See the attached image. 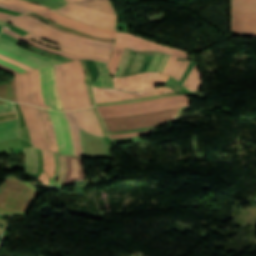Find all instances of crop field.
<instances>
[{"label":"crop field","instance_id":"4a817a6b","mask_svg":"<svg viewBox=\"0 0 256 256\" xmlns=\"http://www.w3.org/2000/svg\"><path fill=\"white\" fill-rule=\"evenodd\" d=\"M67 157V173L64 184H72L74 180H84L81 157Z\"/></svg>","mask_w":256,"mask_h":256},{"label":"crop field","instance_id":"425ffa30","mask_svg":"<svg viewBox=\"0 0 256 256\" xmlns=\"http://www.w3.org/2000/svg\"><path fill=\"white\" fill-rule=\"evenodd\" d=\"M188 64H189L188 61L183 62L182 67H181L180 71L178 72V74L176 75L175 79L179 80L181 78V76L183 75Z\"/></svg>","mask_w":256,"mask_h":256},{"label":"crop field","instance_id":"cbeb9de0","mask_svg":"<svg viewBox=\"0 0 256 256\" xmlns=\"http://www.w3.org/2000/svg\"><path fill=\"white\" fill-rule=\"evenodd\" d=\"M35 13L45 16L59 24L65 25L67 27H70V28H73V29H76V30H79L82 32L99 35V36L115 38V29L95 28V27L77 22L70 18L64 17L62 15H59L53 11L35 12Z\"/></svg>","mask_w":256,"mask_h":256},{"label":"crop field","instance_id":"4177f3b9","mask_svg":"<svg viewBox=\"0 0 256 256\" xmlns=\"http://www.w3.org/2000/svg\"><path fill=\"white\" fill-rule=\"evenodd\" d=\"M26 37H29L39 43H42V44H45V45H48V46H51V47H54V48H57V49H61V50H64V51H67V52H70V53H74V54H78V55H85V56H92V57H99V58H106L108 59L109 58V55H106V54H97V53H89V52H83V51H77V50H72V49H69V48H66V47H63V46H59V45H56V44H53V43H49V42H46L44 40H41L39 38H37L36 36L32 35V34H27V35H24Z\"/></svg>","mask_w":256,"mask_h":256},{"label":"crop field","instance_id":"214f88e0","mask_svg":"<svg viewBox=\"0 0 256 256\" xmlns=\"http://www.w3.org/2000/svg\"><path fill=\"white\" fill-rule=\"evenodd\" d=\"M39 111L41 113V116H42V119H43V122H44L45 130H46V134H47V138H48V142H49L50 151L58 153L55 134H54L52 122H51L50 116L48 114V111L45 110V109H41V108H39Z\"/></svg>","mask_w":256,"mask_h":256},{"label":"crop field","instance_id":"d8731c3e","mask_svg":"<svg viewBox=\"0 0 256 256\" xmlns=\"http://www.w3.org/2000/svg\"><path fill=\"white\" fill-rule=\"evenodd\" d=\"M65 86L72 109L90 106L84 83V70L79 60L63 63Z\"/></svg>","mask_w":256,"mask_h":256},{"label":"crop field","instance_id":"730fd06b","mask_svg":"<svg viewBox=\"0 0 256 256\" xmlns=\"http://www.w3.org/2000/svg\"><path fill=\"white\" fill-rule=\"evenodd\" d=\"M0 2L13 5L29 11H48L51 10L45 6L36 5L23 0H0Z\"/></svg>","mask_w":256,"mask_h":256},{"label":"crop field","instance_id":"5d738f31","mask_svg":"<svg viewBox=\"0 0 256 256\" xmlns=\"http://www.w3.org/2000/svg\"><path fill=\"white\" fill-rule=\"evenodd\" d=\"M0 64H3V65H5V66H7V67H9V68H12V69H14V70H16V71H18V72H20V73H22V72L25 71V70H23V69H21V68L15 66V65H13V64H10V63L5 62V61H2V60H0Z\"/></svg>","mask_w":256,"mask_h":256},{"label":"crop field","instance_id":"89e229c0","mask_svg":"<svg viewBox=\"0 0 256 256\" xmlns=\"http://www.w3.org/2000/svg\"><path fill=\"white\" fill-rule=\"evenodd\" d=\"M11 85H12V101L17 102L16 100V84L14 78L11 79Z\"/></svg>","mask_w":256,"mask_h":256},{"label":"crop field","instance_id":"0fb4a251","mask_svg":"<svg viewBox=\"0 0 256 256\" xmlns=\"http://www.w3.org/2000/svg\"><path fill=\"white\" fill-rule=\"evenodd\" d=\"M11 16H14V15H10V14H6V13H1L0 12V19L2 20H6L8 17H11Z\"/></svg>","mask_w":256,"mask_h":256},{"label":"crop field","instance_id":"25e5ab78","mask_svg":"<svg viewBox=\"0 0 256 256\" xmlns=\"http://www.w3.org/2000/svg\"><path fill=\"white\" fill-rule=\"evenodd\" d=\"M182 62H183V60H180V59H177V62H176V64L174 65V68H173V70L171 71V73H170V75L171 76H175V74L177 73V71L179 70V68H180V66H181V64H182Z\"/></svg>","mask_w":256,"mask_h":256},{"label":"crop field","instance_id":"bd1437ed","mask_svg":"<svg viewBox=\"0 0 256 256\" xmlns=\"http://www.w3.org/2000/svg\"><path fill=\"white\" fill-rule=\"evenodd\" d=\"M173 55L187 58V55H186L185 52H182V51H179V50H176V49L174 50ZM175 56H171V58H170L168 64L166 65L163 73H165V74L170 73V71H171V69H172V67H173V65H174V63L176 62V59H177V57H175Z\"/></svg>","mask_w":256,"mask_h":256},{"label":"crop field","instance_id":"1d83c4d3","mask_svg":"<svg viewBox=\"0 0 256 256\" xmlns=\"http://www.w3.org/2000/svg\"><path fill=\"white\" fill-rule=\"evenodd\" d=\"M58 157H59V163H60V174H59L57 184L62 185L64 176L66 173V158L65 156H62V155H58Z\"/></svg>","mask_w":256,"mask_h":256},{"label":"crop field","instance_id":"34b2d1b8","mask_svg":"<svg viewBox=\"0 0 256 256\" xmlns=\"http://www.w3.org/2000/svg\"><path fill=\"white\" fill-rule=\"evenodd\" d=\"M155 72L140 73L128 77H114L115 89L99 88L93 86L94 95L96 103L107 102V101H117V100H126L132 98H139L163 93L174 92L173 89L162 87L155 89V82L157 78ZM116 88L128 90V91H137L139 92L128 93L124 91L116 90Z\"/></svg>","mask_w":256,"mask_h":256},{"label":"crop field","instance_id":"a9b5d70f","mask_svg":"<svg viewBox=\"0 0 256 256\" xmlns=\"http://www.w3.org/2000/svg\"><path fill=\"white\" fill-rule=\"evenodd\" d=\"M26 160L25 171L36 173L38 170V156L36 148L29 147L23 148Z\"/></svg>","mask_w":256,"mask_h":256},{"label":"crop field","instance_id":"1d79db26","mask_svg":"<svg viewBox=\"0 0 256 256\" xmlns=\"http://www.w3.org/2000/svg\"><path fill=\"white\" fill-rule=\"evenodd\" d=\"M0 67L6 69V70H8V71H10V72H12V73H14V74H16V75L19 74V73L15 72V71H13V70H11V69H9V68L3 66V65H0Z\"/></svg>","mask_w":256,"mask_h":256},{"label":"crop field","instance_id":"e1f06a70","mask_svg":"<svg viewBox=\"0 0 256 256\" xmlns=\"http://www.w3.org/2000/svg\"><path fill=\"white\" fill-rule=\"evenodd\" d=\"M149 133V130L146 131H140V132H135V133H124V134H118V135H110L111 138H116V137H129V136H135V135H146Z\"/></svg>","mask_w":256,"mask_h":256},{"label":"crop field","instance_id":"eef30255","mask_svg":"<svg viewBox=\"0 0 256 256\" xmlns=\"http://www.w3.org/2000/svg\"><path fill=\"white\" fill-rule=\"evenodd\" d=\"M183 85L185 88L193 92H195L201 86V81L196 64L194 65L192 71L186 78Z\"/></svg>","mask_w":256,"mask_h":256},{"label":"crop field","instance_id":"120bbe31","mask_svg":"<svg viewBox=\"0 0 256 256\" xmlns=\"http://www.w3.org/2000/svg\"><path fill=\"white\" fill-rule=\"evenodd\" d=\"M172 95H178V94H164V95L151 96V97L142 98V99H134V100H128V101H119V102H109V103H100V104H96V105L101 106V105H111V104H119V103H126V102H136V101H143V100H147V99L159 98V97H164V96H172Z\"/></svg>","mask_w":256,"mask_h":256},{"label":"crop field","instance_id":"dafd665d","mask_svg":"<svg viewBox=\"0 0 256 256\" xmlns=\"http://www.w3.org/2000/svg\"><path fill=\"white\" fill-rule=\"evenodd\" d=\"M65 114L69 120V124L72 131L74 149H75V156H83L82 149H81V141H80V133L78 125L74 119L72 111H65Z\"/></svg>","mask_w":256,"mask_h":256},{"label":"crop field","instance_id":"ac0d7876","mask_svg":"<svg viewBox=\"0 0 256 256\" xmlns=\"http://www.w3.org/2000/svg\"><path fill=\"white\" fill-rule=\"evenodd\" d=\"M7 22L38 37L78 50L110 54L113 45V43H105L67 34L40 20H36L25 15L8 19Z\"/></svg>","mask_w":256,"mask_h":256},{"label":"crop field","instance_id":"9d1cf04e","mask_svg":"<svg viewBox=\"0 0 256 256\" xmlns=\"http://www.w3.org/2000/svg\"><path fill=\"white\" fill-rule=\"evenodd\" d=\"M3 21L0 20V24L2 25Z\"/></svg>","mask_w":256,"mask_h":256},{"label":"crop field","instance_id":"8a807250","mask_svg":"<svg viewBox=\"0 0 256 256\" xmlns=\"http://www.w3.org/2000/svg\"><path fill=\"white\" fill-rule=\"evenodd\" d=\"M15 79L18 102L63 110L55 85L53 65L19 74Z\"/></svg>","mask_w":256,"mask_h":256},{"label":"crop field","instance_id":"028f5c9d","mask_svg":"<svg viewBox=\"0 0 256 256\" xmlns=\"http://www.w3.org/2000/svg\"><path fill=\"white\" fill-rule=\"evenodd\" d=\"M102 87H113L112 78L109 73L101 75Z\"/></svg>","mask_w":256,"mask_h":256},{"label":"crop field","instance_id":"dd49c442","mask_svg":"<svg viewBox=\"0 0 256 256\" xmlns=\"http://www.w3.org/2000/svg\"><path fill=\"white\" fill-rule=\"evenodd\" d=\"M181 109L182 107H178L169 110H160L147 114L119 116L106 118L103 120L106 124L107 131L130 130L168 123L170 120L179 118Z\"/></svg>","mask_w":256,"mask_h":256},{"label":"crop field","instance_id":"750c4746","mask_svg":"<svg viewBox=\"0 0 256 256\" xmlns=\"http://www.w3.org/2000/svg\"><path fill=\"white\" fill-rule=\"evenodd\" d=\"M34 3L42 4L48 6L52 9L59 8L65 5V0H27Z\"/></svg>","mask_w":256,"mask_h":256},{"label":"crop field","instance_id":"c035e120","mask_svg":"<svg viewBox=\"0 0 256 256\" xmlns=\"http://www.w3.org/2000/svg\"><path fill=\"white\" fill-rule=\"evenodd\" d=\"M128 50L127 48L124 49V52L122 54V57H121V60H120V63H119V66L117 68V71H116V76H119L121 70H122V67L124 65V62H125V59H126V56H127V53H128Z\"/></svg>","mask_w":256,"mask_h":256},{"label":"crop field","instance_id":"03da06ac","mask_svg":"<svg viewBox=\"0 0 256 256\" xmlns=\"http://www.w3.org/2000/svg\"><path fill=\"white\" fill-rule=\"evenodd\" d=\"M17 118L16 111L10 112V113H5V114H0V121L6 120V119H13Z\"/></svg>","mask_w":256,"mask_h":256},{"label":"crop field","instance_id":"733c2abd","mask_svg":"<svg viewBox=\"0 0 256 256\" xmlns=\"http://www.w3.org/2000/svg\"><path fill=\"white\" fill-rule=\"evenodd\" d=\"M3 31L18 38L19 40L31 45V46H34L36 48H39V49H42V50H45V51H48V52H51V53H54V54H58V55H62V56H65L67 58H70L72 60H77V59H91V60H101V61H105V62H108V60H105V59H99V58H92V57H84V56H77V55H73V54H70V53H67V52H64V51H60V50H57V49H52V48H48L42 44H39L35 41H32L26 37H23V36H20L6 28L3 27Z\"/></svg>","mask_w":256,"mask_h":256},{"label":"crop field","instance_id":"d9b57169","mask_svg":"<svg viewBox=\"0 0 256 256\" xmlns=\"http://www.w3.org/2000/svg\"><path fill=\"white\" fill-rule=\"evenodd\" d=\"M73 112L81 129L98 136H104L91 107Z\"/></svg>","mask_w":256,"mask_h":256},{"label":"crop field","instance_id":"1f2cbd36","mask_svg":"<svg viewBox=\"0 0 256 256\" xmlns=\"http://www.w3.org/2000/svg\"><path fill=\"white\" fill-rule=\"evenodd\" d=\"M93 109H94V111H95V113H96V115H97L99 124H100V126H101V128H102V131H103L104 135H105V136H108L107 133H106V130H105V127H104V124H103V121H102L101 117L99 116V114H98L96 108L93 107Z\"/></svg>","mask_w":256,"mask_h":256},{"label":"crop field","instance_id":"b54c1fbb","mask_svg":"<svg viewBox=\"0 0 256 256\" xmlns=\"http://www.w3.org/2000/svg\"><path fill=\"white\" fill-rule=\"evenodd\" d=\"M49 180H50L49 175H47L45 172H42L40 178L37 181L41 182L43 185L46 186Z\"/></svg>","mask_w":256,"mask_h":256},{"label":"crop field","instance_id":"bc2a9ffb","mask_svg":"<svg viewBox=\"0 0 256 256\" xmlns=\"http://www.w3.org/2000/svg\"><path fill=\"white\" fill-rule=\"evenodd\" d=\"M19 136L18 120L0 122V141L13 139Z\"/></svg>","mask_w":256,"mask_h":256},{"label":"crop field","instance_id":"d32e631a","mask_svg":"<svg viewBox=\"0 0 256 256\" xmlns=\"http://www.w3.org/2000/svg\"><path fill=\"white\" fill-rule=\"evenodd\" d=\"M10 90V83L0 86V98L10 100Z\"/></svg>","mask_w":256,"mask_h":256},{"label":"crop field","instance_id":"3316defc","mask_svg":"<svg viewBox=\"0 0 256 256\" xmlns=\"http://www.w3.org/2000/svg\"><path fill=\"white\" fill-rule=\"evenodd\" d=\"M116 43H125L128 45H133L135 47H155V48H165L168 50H172L173 48H170L168 46L156 43V42H152V41H148L142 38H139L137 36L128 34V33H117V41ZM128 45H124V44H115V46H123V47H127V48H131L134 50H154V51H161V52H165L166 54H161V53H156V55L154 56L150 66L148 67L147 71H158V72H162L165 65L167 64L172 51H168L165 49H155V48H135L133 46H128ZM114 46V45H113Z\"/></svg>","mask_w":256,"mask_h":256},{"label":"crop field","instance_id":"5a996713","mask_svg":"<svg viewBox=\"0 0 256 256\" xmlns=\"http://www.w3.org/2000/svg\"><path fill=\"white\" fill-rule=\"evenodd\" d=\"M232 8L256 10V0H232ZM232 9L231 35L256 37V11Z\"/></svg>","mask_w":256,"mask_h":256},{"label":"crop field","instance_id":"447ae74e","mask_svg":"<svg viewBox=\"0 0 256 256\" xmlns=\"http://www.w3.org/2000/svg\"><path fill=\"white\" fill-rule=\"evenodd\" d=\"M2 102H5V101H1V100H0V103H2Z\"/></svg>","mask_w":256,"mask_h":256},{"label":"crop field","instance_id":"412701ff","mask_svg":"<svg viewBox=\"0 0 256 256\" xmlns=\"http://www.w3.org/2000/svg\"><path fill=\"white\" fill-rule=\"evenodd\" d=\"M65 7L56 10L87 24L114 28L116 14L109 0H67Z\"/></svg>","mask_w":256,"mask_h":256},{"label":"crop field","instance_id":"ae1a2a85","mask_svg":"<svg viewBox=\"0 0 256 256\" xmlns=\"http://www.w3.org/2000/svg\"><path fill=\"white\" fill-rule=\"evenodd\" d=\"M42 154H43V163H44L43 170L51 174L50 177L52 178L55 171V162H54L53 154L45 152L43 150H42Z\"/></svg>","mask_w":256,"mask_h":256},{"label":"crop field","instance_id":"0bd39190","mask_svg":"<svg viewBox=\"0 0 256 256\" xmlns=\"http://www.w3.org/2000/svg\"><path fill=\"white\" fill-rule=\"evenodd\" d=\"M14 110H15V108H14L13 104L10 102L0 104V113L10 112V111H14Z\"/></svg>","mask_w":256,"mask_h":256},{"label":"crop field","instance_id":"f4fd0767","mask_svg":"<svg viewBox=\"0 0 256 256\" xmlns=\"http://www.w3.org/2000/svg\"><path fill=\"white\" fill-rule=\"evenodd\" d=\"M39 192L28 182L8 177L0 185V213L24 214Z\"/></svg>","mask_w":256,"mask_h":256},{"label":"crop field","instance_id":"92a150f3","mask_svg":"<svg viewBox=\"0 0 256 256\" xmlns=\"http://www.w3.org/2000/svg\"><path fill=\"white\" fill-rule=\"evenodd\" d=\"M27 15L33 17V18H37V19H40L46 23H48L49 25L51 26H54L60 30H63L67 33H70V34H74V35H77V36H82V37H88V38H92V39H96V40H100V41H106V42H113L114 39H111V38H104V37H98V36H94V35H90V34H86V33H82V32H79V31H76V30H73V29H70V28H66V27H62V26H59L55 23H53L52 21L44 18V17H41L37 14H34L32 12L30 13H27Z\"/></svg>","mask_w":256,"mask_h":256},{"label":"crop field","instance_id":"00972430","mask_svg":"<svg viewBox=\"0 0 256 256\" xmlns=\"http://www.w3.org/2000/svg\"><path fill=\"white\" fill-rule=\"evenodd\" d=\"M56 68V84L58 88V92L63 104L64 110H71L66 91L64 86V80H63V73H62V65H54Z\"/></svg>","mask_w":256,"mask_h":256},{"label":"crop field","instance_id":"c21b1889","mask_svg":"<svg viewBox=\"0 0 256 256\" xmlns=\"http://www.w3.org/2000/svg\"><path fill=\"white\" fill-rule=\"evenodd\" d=\"M54 157H55V160H56V173H55L53 179L50 180L49 184L47 185L48 188H51L53 182L55 181V179H56V177H57V175L59 173V163H58L57 154H54Z\"/></svg>","mask_w":256,"mask_h":256},{"label":"crop field","instance_id":"dbb93151","mask_svg":"<svg viewBox=\"0 0 256 256\" xmlns=\"http://www.w3.org/2000/svg\"><path fill=\"white\" fill-rule=\"evenodd\" d=\"M169 76L163 75V74H158L157 82L156 83H166L168 80Z\"/></svg>","mask_w":256,"mask_h":256},{"label":"crop field","instance_id":"d1516ede","mask_svg":"<svg viewBox=\"0 0 256 256\" xmlns=\"http://www.w3.org/2000/svg\"><path fill=\"white\" fill-rule=\"evenodd\" d=\"M0 45L5 47V48H7V49H10V50H12L14 52H17V53H19V54H21L23 56H26V57H28V58H30V59H32V60H34V61H36V62H38V63H40L42 65H44V66H48V65L56 64V63H63V62L58 61V60H54V59H51V58H47V57L35 54V53L31 52V51H28V50H26V49H24V48H22V47H20V46H18L16 44H14L12 42H9L7 40H4L2 38H0ZM1 46H0V53L1 54H4V55H6V56H8L10 58L19 60V61L23 62L24 64H26V65L34 68V69L35 68H39V67H43V66H41V65L31 61V60H29V59L19 55V54H16V53H14V52H12L10 50H7V49H5V48H3Z\"/></svg>","mask_w":256,"mask_h":256},{"label":"crop field","instance_id":"22f410ed","mask_svg":"<svg viewBox=\"0 0 256 256\" xmlns=\"http://www.w3.org/2000/svg\"><path fill=\"white\" fill-rule=\"evenodd\" d=\"M49 113L53 122L59 153L74 156L71 132L64 112L49 111Z\"/></svg>","mask_w":256,"mask_h":256},{"label":"crop field","instance_id":"b80d0937","mask_svg":"<svg viewBox=\"0 0 256 256\" xmlns=\"http://www.w3.org/2000/svg\"><path fill=\"white\" fill-rule=\"evenodd\" d=\"M0 58L3 59V60H6L8 62H11V63H13V64H15V65L25 69V70H31L32 69V68H30V67H28V66H26V65H24V64H22V63H20L18 61H16V60L10 59V58L5 57L3 55H0Z\"/></svg>","mask_w":256,"mask_h":256},{"label":"crop field","instance_id":"28ad6ade","mask_svg":"<svg viewBox=\"0 0 256 256\" xmlns=\"http://www.w3.org/2000/svg\"><path fill=\"white\" fill-rule=\"evenodd\" d=\"M20 104V103H19ZM23 116L28 126L31 141L37 148L49 151L46 134L41 116L36 106L20 104ZM19 106V107H20Z\"/></svg>","mask_w":256,"mask_h":256},{"label":"crop field","instance_id":"d3111659","mask_svg":"<svg viewBox=\"0 0 256 256\" xmlns=\"http://www.w3.org/2000/svg\"><path fill=\"white\" fill-rule=\"evenodd\" d=\"M123 49L124 48H119V47H114L113 48V51H112V55H111V59L108 63V69L113 73L115 74V71H116V68H117V65L119 63V60H120V57H121V54L123 52Z\"/></svg>","mask_w":256,"mask_h":256},{"label":"crop field","instance_id":"5142ce71","mask_svg":"<svg viewBox=\"0 0 256 256\" xmlns=\"http://www.w3.org/2000/svg\"><path fill=\"white\" fill-rule=\"evenodd\" d=\"M155 52L129 50L120 76L146 71Z\"/></svg>","mask_w":256,"mask_h":256},{"label":"crop field","instance_id":"e52e79f7","mask_svg":"<svg viewBox=\"0 0 256 256\" xmlns=\"http://www.w3.org/2000/svg\"><path fill=\"white\" fill-rule=\"evenodd\" d=\"M185 105H189L188 97L185 95H180L133 104L102 106L97 108L101 114V117L105 118L119 115L141 114Z\"/></svg>","mask_w":256,"mask_h":256},{"label":"crop field","instance_id":"5866460e","mask_svg":"<svg viewBox=\"0 0 256 256\" xmlns=\"http://www.w3.org/2000/svg\"><path fill=\"white\" fill-rule=\"evenodd\" d=\"M83 67H84V70L87 72L86 74V77H85V83H86V86L88 88V92H89V96H90V100H91V104L94 105V98H93V94H92V91H91V88H90V77H89V73L86 69V65H85V62L84 60H80Z\"/></svg>","mask_w":256,"mask_h":256},{"label":"crop field","instance_id":"d23c7cc5","mask_svg":"<svg viewBox=\"0 0 256 256\" xmlns=\"http://www.w3.org/2000/svg\"><path fill=\"white\" fill-rule=\"evenodd\" d=\"M0 7L8 9V10H12V11L20 12V13L26 12L25 10H22V9L13 7V6L5 5V4H2V3H0Z\"/></svg>","mask_w":256,"mask_h":256},{"label":"crop field","instance_id":"73cf0c24","mask_svg":"<svg viewBox=\"0 0 256 256\" xmlns=\"http://www.w3.org/2000/svg\"><path fill=\"white\" fill-rule=\"evenodd\" d=\"M96 64H97V67L99 69V73L102 74L104 72H108L107 68H106V63L104 62H98V61H95Z\"/></svg>","mask_w":256,"mask_h":256}]
</instances>
